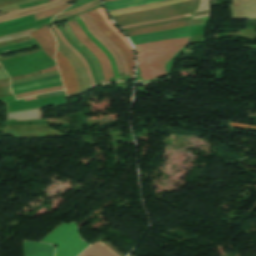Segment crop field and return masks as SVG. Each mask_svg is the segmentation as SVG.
I'll return each instance as SVG.
<instances>
[{
    "mask_svg": "<svg viewBox=\"0 0 256 256\" xmlns=\"http://www.w3.org/2000/svg\"><path fill=\"white\" fill-rule=\"evenodd\" d=\"M107 1H115V0H103V2H107Z\"/></svg>",
    "mask_w": 256,
    "mask_h": 256,
    "instance_id": "crop-field-29",
    "label": "crop field"
},
{
    "mask_svg": "<svg viewBox=\"0 0 256 256\" xmlns=\"http://www.w3.org/2000/svg\"><path fill=\"white\" fill-rule=\"evenodd\" d=\"M65 26H66V30H67V32L69 33L70 37H71V38H72V39H73V40H74L91 58H92V60H93V62H94V64H95V66H96V68H97L98 75H99V79H100L101 83L104 84L105 82H104V79H103V76H102V73H101V70H100V66H99V63H98L97 59L92 55V53H91L87 48H85L81 43H79V42L75 39V37H74V35L72 34V32H71L69 26H68L67 24H65Z\"/></svg>",
    "mask_w": 256,
    "mask_h": 256,
    "instance_id": "crop-field-21",
    "label": "crop field"
},
{
    "mask_svg": "<svg viewBox=\"0 0 256 256\" xmlns=\"http://www.w3.org/2000/svg\"><path fill=\"white\" fill-rule=\"evenodd\" d=\"M71 1H73V0H54V1L46 3V4L20 9L15 12L0 16V23L3 21L13 20V19H17L19 17L35 14V13H38V12L68 3V2H71Z\"/></svg>",
    "mask_w": 256,
    "mask_h": 256,
    "instance_id": "crop-field-8",
    "label": "crop field"
},
{
    "mask_svg": "<svg viewBox=\"0 0 256 256\" xmlns=\"http://www.w3.org/2000/svg\"><path fill=\"white\" fill-rule=\"evenodd\" d=\"M50 1H52V0H50Z\"/></svg>",
    "mask_w": 256,
    "mask_h": 256,
    "instance_id": "crop-field-30",
    "label": "crop field"
},
{
    "mask_svg": "<svg viewBox=\"0 0 256 256\" xmlns=\"http://www.w3.org/2000/svg\"><path fill=\"white\" fill-rule=\"evenodd\" d=\"M181 1H185V0H171V1L162 2V3H156V4L141 6V7H135V8L125 9V10L114 11V12H110L109 14L111 17H113V16L128 14V13H132V12H137V11H141V10L152 9V8L169 5V4H173V3H177V2H181Z\"/></svg>",
    "mask_w": 256,
    "mask_h": 256,
    "instance_id": "crop-field-18",
    "label": "crop field"
},
{
    "mask_svg": "<svg viewBox=\"0 0 256 256\" xmlns=\"http://www.w3.org/2000/svg\"><path fill=\"white\" fill-rule=\"evenodd\" d=\"M29 34L38 42L43 51L54 60L56 44L53 36L50 33L49 26L43 27Z\"/></svg>",
    "mask_w": 256,
    "mask_h": 256,
    "instance_id": "crop-field-9",
    "label": "crop field"
},
{
    "mask_svg": "<svg viewBox=\"0 0 256 256\" xmlns=\"http://www.w3.org/2000/svg\"><path fill=\"white\" fill-rule=\"evenodd\" d=\"M98 4H100V1L99 0H95V1L90 2V3L86 4V5H83V6L79 7V8H76V9H73V10H70V11H67V12H64V13H60V14L56 15L53 20H57V19H60V18H64V17H67V16H71V15L77 14L79 12H82V11H84L86 9H89V8H91L93 6H96Z\"/></svg>",
    "mask_w": 256,
    "mask_h": 256,
    "instance_id": "crop-field-20",
    "label": "crop field"
},
{
    "mask_svg": "<svg viewBox=\"0 0 256 256\" xmlns=\"http://www.w3.org/2000/svg\"><path fill=\"white\" fill-rule=\"evenodd\" d=\"M99 14L104 18L108 26L132 49L130 43L127 41V39L122 35V33L116 28V26L110 21V19L107 17L103 7L96 9ZM133 50V49H132Z\"/></svg>",
    "mask_w": 256,
    "mask_h": 256,
    "instance_id": "crop-field-22",
    "label": "crop field"
},
{
    "mask_svg": "<svg viewBox=\"0 0 256 256\" xmlns=\"http://www.w3.org/2000/svg\"><path fill=\"white\" fill-rule=\"evenodd\" d=\"M62 85L61 82L59 83H53V84H48V85H44V86H40V87H35V88H30V89H25V90H20V91H15L13 92L14 95L16 94H20L23 92H27V91H31V90H36V89H41V88H49V87H53V86H59ZM63 87L59 86V87H53V88H49V89H41V90H37V91H31V92H27L24 94H20V95H16V99H20L26 96H30V95H35V94H40V93H46V92H51V91H57V90H62Z\"/></svg>",
    "mask_w": 256,
    "mask_h": 256,
    "instance_id": "crop-field-14",
    "label": "crop field"
},
{
    "mask_svg": "<svg viewBox=\"0 0 256 256\" xmlns=\"http://www.w3.org/2000/svg\"><path fill=\"white\" fill-rule=\"evenodd\" d=\"M25 256H53L54 248L48 244L23 241Z\"/></svg>",
    "mask_w": 256,
    "mask_h": 256,
    "instance_id": "crop-field-11",
    "label": "crop field"
},
{
    "mask_svg": "<svg viewBox=\"0 0 256 256\" xmlns=\"http://www.w3.org/2000/svg\"><path fill=\"white\" fill-rule=\"evenodd\" d=\"M198 2L199 0H190V1H185V2H181V3L169 5V6H164V7L140 12V13L113 17L112 19L119 26L138 23V22H144V21H150V20H156V19H162V18L194 12Z\"/></svg>",
    "mask_w": 256,
    "mask_h": 256,
    "instance_id": "crop-field-4",
    "label": "crop field"
},
{
    "mask_svg": "<svg viewBox=\"0 0 256 256\" xmlns=\"http://www.w3.org/2000/svg\"><path fill=\"white\" fill-rule=\"evenodd\" d=\"M59 81H61V80H60V79H57V80L43 81V82H39V83H35V84H31V85L23 86V87L13 88V89H12V91L20 90V89H25V88H29V87H33V86H37V85H41V84H47V83H53V82H59Z\"/></svg>",
    "mask_w": 256,
    "mask_h": 256,
    "instance_id": "crop-field-26",
    "label": "crop field"
},
{
    "mask_svg": "<svg viewBox=\"0 0 256 256\" xmlns=\"http://www.w3.org/2000/svg\"><path fill=\"white\" fill-rule=\"evenodd\" d=\"M87 253L93 254L95 256H119L112 249H110L107 245H105L104 243H102L100 241L93 244L91 247H89L86 251H84L79 256H86ZM89 254L87 256H93V255H89Z\"/></svg>",
    "mask_w": 256,
    "mask_h": 256,
    "instance_id": "crop-field-13",
    "label": "crop field"
},
{
    "mask_svg": "<svg viewBox=\"0 0 256 256\" xmlns=\"http://www.w3.org/2000/svg\"><path fill=\"white\" fill-rule=\"evenodd\" d=\"M184 46L185 45L146 51H139L135 48L138 53V66L142 80L156 79L166 74L167 72L164 66Z\"/></svg>",
    "mask_w": 256,
    "mask_h": 256,
    "instance_id": "crop-field-2",
    "label": "crop field"
},
{
    "mask_svg": "<svg viewBox=\"0 0 256 256\" xmlns=\"http://www.w3.org/2000/svg\"><path fill=\"white\" fill-rule=\"evenodd\" d=\"M207 19L208 18L196 19V20H190V21H184V22L168 24V25H164V26L144 28V29H139V30H134V31L126 32V34L128 36H132V35L157 32V31H162V30H167V29H172V28H177V27H182V26H187V25L206 24L207 23Z\"/></svg>",
    "mask_w": 256,
    "mask_h": 256,
    "instance_id": "crop-field-10",
    "label": "crop field"
},
{
    "mask_svg": "<svg viewBox=\"0 0 256 256\" xmlns=\"http://www.w3.org/2000/svg\"><path fill=\"white\" fill-rule=\"evenodd\" d=\"M77 18V17H76ZM78 18H79V16H78ZM77 18V20H78V22H79V24H80V26H81V28H82V30L84 31V33L108 56V58H109V60H110V62H111V65H112V67H113V73H114V76H115V80L116 81H119V79H118V75H117V71H116V67H115V64H114V62H113V60H112V58H111V56L109 55V53L97 42V41H95L88 33H87V31H86V29L84 28V24L82 25V21H81V19H80V21L82 22H80L79 21V19ZM121 81V80H120Z\"/></svg>",
    "mask_w": 256,
    "mask_h": 256,
    "instance_id": "crop-field-23",
    "label": "crop field"
},
{
    "mask_svg": "<svg viewBox=\"0 0 256 256\" xmlns=\"http://www.w3.org/2000/svg\"><path fill=\"white\" fill-rule=\"evenodd\" d=\"M80 18L83 20L86 28L88 29V31L90 32L91 35H93L113 56L117 67H118V71L119 72H123L122 70V66L121 63L119 61V58L117 56V54L105 43V41L91 28V26L88 24V22L86 21V19L83 17V15H80Z\"/></svg>",
    "mask_w": 256,
    "mask_h": 256,
    "instance_id": "crop-field-19",
    "label": "crop field"
},
{
    "mask_svg": "<svg viewBox=\"0 0 256 256\" xmlns=\"http://www.w3.org/2000/svg\"><path fill=\"white\" fill-rule=\"evenodd\" d=\"M187 42H188V37L167 40V41H161V42L147 43V44H142V45H136V47L141 50H145V49H153V48H159V47H165V46H171V45L187 44Z\"/></svg>",
    "mask_w": 256,
    "mask_h": 256,
    "instance_id": "crop-field-16",
    "label": "crop field"
},
{
    "mask_svg": "<svg viewBox=\"0 0 256 256\" xmlns=\"http://www.w3.org/2000/svg\"><path fill=\"white\" fill-rule=\"evenodd\" d=\"M72 23L74 24V26H75V28L78 31L80 36L78 35V33L75 30ZM67 24L70 26V28H71L73 34L75 35L76 39L78 41H80L84 46H86L94 54V56L98 59L100 65L102 67V70H103L105 82L106 83L110 82L109 78H112L114 76H113V73H112V67H111L110 62H109L108 58L106 57V55L94 43H92L88 39V37L82 32V30H81L79 24L77 23L76 19L71 20Z\"/></svg>",
    "mask_w": 256,
    "mask_h": 256,
    "instance_id": "crop-field-6",
    "label": "crop field"
},
{
    "mask_svg": "<svg viewBox=\"0 0 256 256\" xmlns=\"http://www.w3.org/2000/svg\"><path fill=\"white\" fill-rule=\"evenodd\" d=\"M90 17L94 20L98 28L110 39V41L122 52L126 58L129 72L132 80L134 76L135 57L131 49L109 28L106 26L102 17L96 10L88 12Z\"/></svg>",
    "mask_w": 256,
    "mask_h": 256,
    "instance_id": "crop-field-5",
    "label": "crop field"
},
{
    "mask_svg": "<svg viewBox=\"0 0 256 256\" xmlns=\"http://www.w3.org/2000/svg\"><path fill=\"white\" fill-rule=\"evenodd\" d=\"M52 32L55 35L56 40L58 42L57 49L72 64V66L75 70V73L78 77L80 88H81V91H79L80 88H79L78 80H77V77H76L74 70H73L72 66L70 65L69 61L57 51L56 52L57 66L61 72L64 87L66 89L67 94L79 91L76 93L69 94L68 97L75 96L80 93H84V92L88 91L90 89V86H89L87 75L85 73V70H84L81 62L65 45H63L61 43L57 34L53 30H52Z\"/></svg>",
    "mask_w": 256,
    "mask_h": 256,
    "instance_id": "crop-field-1",
    "label": "crop field"
},
{
    "mask_svg": "<svg viewBox=\"0 0 256 256\" xmlns=\"http://www.w3.org/2000/svg\"><path fill=\"white\" fill-rule=\"evenodd\" d=\"M69 6V4H66V5H63L61 7H58V8H55V9H51V10H48V11H45V12H41V13H38V14H35V20H40V19H44V18H47V17H50L54 14H57L58 12L66 9L67 7Z\"/></svg>",
    "mask_w": 256,
    "mask_h": 256,
    "instance_id": "crop-field-24",
    "label": "crop field"
},
{
    "mask_svg": "<svg viewBox=\"0 0 256 256\" xmlns=\"http://www.w3.org/2000/svg\"><path fill=\"white\" fill-rule=\"evenodd\" d=\"M52 28L56 31V33L58 34L59 38L61 39L62 43L65 44L79 59L80 61L83 63V66L86 70V73L88 75V78H89V81H90V84H91V87H94L96 86L95 83H94V80H93V76H92V73L90 71V67L89 65L87 64L86 60L83 58V56L78 53L74 48L73 46L67 42L63 35L61 34V32L56 28L55 24H53Z\"/></svg>",
    "mask_w": 256,
    "mask_h": 256,
    "instance_id": "crop-field-15",
    "label": "crop field"
},
{
    "mask_svg": "<svg viewBox=\"0 0 256 256\" xmlns=\"http://www.w3.org/2000/svg\"><path fill=\"white\" fill-rule=\"evenodd\" d=\"M57 69H58L57 66H55V67H52V68H49V69L41 70V73L43 74V73L51 72V71H54V70H57Z\"/></svg>",
    "mask_w": 256,
    "mask_h": 256,
    "instance_id": "crop-field-28",
    "label": "crop field"
},
{
    "mask_svg": "<svg viewBox=\"0 0 256 256\" xmlns=\"http://www.w3.org/2000/svg\"><path fill=\"white\" fill-rule=\"evenodd\" d=\"M41 242L59 245L56 247L55 256H66L81 243H83L77 233L75 222L61 224ZM88 246L89 245L84 242L67 256H77Z\"/></svg>",
    "mask_w": 256,
    "mask_h": 256,
    "instance_id": "crop-field-3",
    "label": "crop field"
},
{
    "mask_svg": "<svg viewBox=\"0 0 256 256\" xmlns=\"http://www.w3.org/2000/svg\"><path fill=\"white\" fill-rule=\"evenodd\" d=\"M57 78H60V76L59 75L51 76V77H47V78H43V79H38V80H33V81L25 82V83L15 84V85H11V88L26 85V84H31V83H35V82H39V81H43V80L57 79Z\"/></svg>",
    "mask_w": 256,
    "mask_h": 256,
    "instance_id": "crop-field-25",
    "label": "crop field"
},
{
    "mask_svg": "<svg viewBox=\"0 0 256 256\" xmlns=\"http://www.w3.org/2000/svg\"><path fill=\"white\" fill-rule=\"evenodd\" d=\"M157 1H162V0H121V1H115V2H107V3H104V5L107 11H111V10L144 5V4L157 2Z\"/></svg>",
    "mask_w": 256,
    "mask_h": 256,
    "instance_id": "crop-field-12",
    "label": "crop field"
},
{
    "mask_svg": "<svg viewBox=\"0 0 256 256\" xmlns=\"http://www.w3.org/2000/svg\"><path fill=\"white\" fill-rule=\"evenodd\" d=\"M129 256H131V255H129Z\"/></svg>",
    "mask_w": 256,
    "mask_h": 256,
    "instance_id": "crop-field-31",
    "label": "crop field"
},
{
    "mask_svg": "<svg viewBox=\"0 0 256 256\" xmlns=\"http://www.w3.org/2000/svg\"><path fill=\"white\" fill-rule=\"evenodd\" d=\"M230 125L236 128L256 130V126H251V125H245V124H239V123H233V122H230Z\"/></svg>",
    "mask_w": 256,
    "mask_h": 256,
    "instance_id": "crop-field-27",
    "label": "crop field"
},
{
    "mask_svg": "<svg viewBox=\"0 0 256 256\" xmlns=\"http://www.w3.org/2000/svg\"><path fill=\"white\" fill-rule=\"evenodd\" d=\"M183 36H189V26L172 29V30H167V31H162V32H157V33L132 36V37H130V39H131L133 45H136V44H141V43L160 41V40L171 39V38H176V37H183Z\"/></svg>",
    "mask_w": 256,
    "mask_h": 256,
    "instance_id": "crop-field-7",
    "label": "crop field"
},
{
    "mask_svg": "<svg viewBox=\"0 0 256 256\" xmlns=\"http://www.w3.org/2000/svg\"><path fill=\"white\" fill-rule=\"evenodd\" d=\"M84 17L87 19V21L90 23V25L93 27V29L106 41V43L118 54L122 66H123V70L125 75H129L128 73V69H127V65L125 62V58L124 56L121 54V52L108 40V38L97 28V26L95 25V23L93 22V20L89 17V15L87 13L83 14Z\"/></svg>",
    "mask_w": 256,
    "mask_h": 256,
    "instance_id": "crop-field-17",
    "label": "crop field"
}]
</instances>
